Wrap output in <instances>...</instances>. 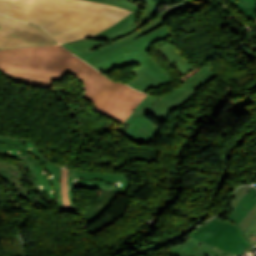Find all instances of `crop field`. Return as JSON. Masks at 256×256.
<instances>
[{"label": "crop field", "instance_id": "9", "mask_svg": "<svg viewBox=\"0 0 256 256\" xmlns=\"http://www.w3.org/2000/svg\"><path fill=\"white\" fill-rule=\"evenodd\" d=\"M24 175H27V182L29 187L33 188L29 181L27 167L24 160H18L17 166L0 160V176L6 179L10 185L15 183L19 194L23 198L30 196V194H33L32 192L24 188L22 181Z\"/></svg>", "mask_w": 256, "mask_h": 256}, {"label": "crop field", "instance_id": "10", "mask_svg": "<svg viewBox=\"0 0 256 256\" xmlns=\"http://www.w3.org/2000/svg\"><path fill=\"white\" fill-rule=\"evenodd\" d=\"M158 53L169 63H175L178 66L176 70L181 76L195 69L170 43L156 48Z\"/></svg>", "mask_w": 256, "mask_h": 256}, {"label": "crop field", "instance_id": "7", "mask_svg": "<svg viewBox=\"0 0 256 256\" xmlns=\"http://www.w3.org/2000/svg\"><path fill=\"white\" fill-rule=\"evenodd\" d=\"M192 237L237 255L250 247L236 226L220 220L218 216Z\"/></svg>", "mask_w": 256, "mask_h": 256}, {"label": "crop field", "instance_id": "8", "mask_svg": "<svg viewBox=\"0 0 256 256\" xmlns=\"http://www.w3.org/2000/svg\"><path fill=\"white\" fill-rule=\"evenodd\" d=\"M172 256H232L219 249L213 248L199 240L190 238L186 242L172 248L169 252Z\"/></svg>", "mask_w": 256, "mask_h": 256}, {"label": "crop field", "instance_id": "3", "mask_svg": "<svg viewBox=\"0 0 256 256\" xmlns=\"http://www.w3.org/2000/svg\"><path fill=\"white\" fill-rule=\"evenodd\" d=\"M187 7L184 4L171 7L147 27L113 43L84 39L64 44V46L105 75L116 68L120 69L137 62L141 67L131 71L137 78L127 84L145 92L173 81L164 69L146 53L151 50V44L171 37L173 34L170 32L169 25H165L135 40L133 38L167 18L173 12Z\"/></svg>", "mask_w": 256, "mask_h": 256}, {"label": "crop field", "instance_id": "4", "mask_svg": "<svg viewBox=\"0 0 256 256\" xmlns=\"http://www.w3.org/2000/svg\"><path fill=\"white\" fill-rule=\"evenodd\" d=\"M216 76L217 74L212 72L211 68L203 66L195 75L186 79L183 84L164 95L161 99L146 95L126 120L131 125L123 133V136L139 145L144 141L149 142L158 133L159 128L145 118L148 113L154 115L159 122L165 121L167 112L170 109L186 103L198 87L206 84Z\"/></svg>", "mask_w": 256, "mask_h": 256}, {"label": "crop field", "instance_id": "6", "mask_svg": "<svg viewBox=\"0 0 256 256\" xmlns=\"http://www.w3.org/2000/svg\"><path fill=\"white\" fill-rule=\"evenodd\" d=\"M47 34L39 27L0 14V49L57 44Z\"/></svg>", "mask_w": 256, "mask_h": 256}, {"label": "crop field", "instance_id": "13", "mask_svg": "<svg viewBox=\"0 0 256 256\" xmlns=\"http://www.w3.org/2000/svg\"><path fill=\"white\" fill-rule=\"evenodd\" d=\"M256 217V205L249 211V213L242 219V221L239 223V226L241 227L243 233L248 228V226L251 224V222Z\"/></svg>", "mask_w": 256, "mask_h": 256}, {"label": "crop field", "instance_id": "17", "mask_svg": "<svg viewBox=\"0 0 256 256\" xmlns=\"http://www.w3.org/2000/svg\"><path fill=\"white\" fill-rule=\"evenodd\" d=\"M212 220H213V219H212ZM210 221H211V220H210ZM210 221H209V222H210ZM206 224H207V223H206ZM206 224H204V225H206ZM204 225H203V226H204ZM203 226H201V227L197 228L196 230L192 231L191 233L187 234V236H189V237L192 236V235L195 234L199 229H201Z\"/></svg>", "mask_w": 256, "mask_h": 256}, {"label": "crop field", "instance_id": "16", "mask_svg": "<svg viewBox=\"0 0 256 256\" xmlns=\"http://www.w3.org/2000/svg\"><path fill=\"white\" fill-rule=\"evenodd\" d=\"M249 242L254 245L256 243V218L244 233Z\"/></svg>", "mask_w": 256, "mask_h": 256}, {"label": "crop field", "instance_id": "11", "mask_svg": "<svg viewBox=\"0 0 256 256\" xmlns=\"http://www.w3.org/2000/svg\"><path fill=\"white\" fill-rule=\"evenodd\" d=\"M255 203L256 190L251 188L229 216L228 220L239 223L241 219L248 213V211L255 205Z\"/></svg>", "mask_w": 256, "mask_h": 256}, {"label": "crop field", "instance_id": "5", "mask_svg": "<svg viewBox=\"0 0 256 256\" xmlns=\"http://www.w3.org/2000/svg\"><path fill=\"white\" fill-rule=\"evenodd\" d=\"M120 6L133 11L123 20L90 38L114 41L134 32L138 27L156 15L158 4L152 0H93Z\"/></svg>", "mask_w": 256, "mask_h": 256}, {"label": "crop field", "instance_id": "1", "mask_svg": "<svg viewBox=\"0 0 256 256\" xmlns=\"http://www.w3.org/2000/svg\"><path fill=\"white\" fill-rule=\"evenodd\" d=\"M0 72L23 83L48 88L72 73L83 82L81 97L93 103L99 113L121 124L145 96L106 78L60 45L0 50Z\"/></svg>", "mask_w": 256, "mask_h": 256}, {"label": "crop field", "instance_id": "14", "mask_svg": "<svg viewBox=\"0 0 256 256\" xmlns=\"http://www.w3.org/2000/svg\"><path fill=\"white\" fill-rule=\"evenodd\" d=\"M67 176H68V170L63 168V174H62V191H63V197H64V203L66 210H71L69 199L67 196Z\"/></svg>", "mask_w": 256, "mask_h": 256}, {"label": "crop field", "instance_id": "12", "mask_svg": "<svg viewBox=\"0 0 256 256\" xmlns=\"http://www.w3.org/2000/svg\"><path fill=\"white\" fill-rule=\"evenodd\" d=\"M243 15L254 19L256 18V1L255 0H229ZM251 3V4H250Z\"/></svg>", "mask_w": 256, "mask_h": 256}, {"label": "crop field", "instance_id": "2", "mask_svg": "<svg viewBox=\"0 0 256 256\" xmlns=\"http://www.w3.org/2000/svg\"><path fill=\"white\" fill-rule=\"evenodd\" d=\"M0 12L42 26L59 42L92 36L131 13L87 0H0Z\"/></svg>", "mask_w": 256, "mask_h": 256}, {"label": "crop field", "instance_id": "15", "mask_svg": "<svg viewBox=\"0 0 256 256\" xmlns=\"http://www.w3.org/2000/svg\"><path fill=\"white\" fill-rule=\"evenodd\" d=\"M250 189V187L244 186L239 188L233 198L231 199L229 203V207L235 208L236 205L239 203V201L242 199V197L245 195V193Z\"/></svg>", "mask_w": 256, "mask_h": 256}]
</instances>
